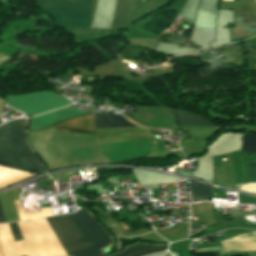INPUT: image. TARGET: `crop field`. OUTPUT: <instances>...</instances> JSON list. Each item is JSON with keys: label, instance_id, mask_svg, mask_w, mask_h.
Instances as JSON below:
<instances>
[{"label": "crop field", "instance_id": "214f88e0", "mask_svg": "<svg viewBox=\"0 0 256 256\" xmlns=\"http://www.w3.org/2000/svg\"><path fill=\"white\" fill-rule=\"evenodd\" d=\"M2 108H3V101L0 99V114H1Z\"/></svg>", "mask_w": 256, "mask_h": 256}, {"label": "crop field", "instance_id": "5a996713", "mask_svg": "<svg viewBox=\"0 0 256 256\" xmlns=\"http://www.w3.org/2000/svg\"><path fill=\"white\" fill-rule=\"evenodd\" d=\"M57 129L65 132L95 135L94 113L57 123Z\"/></svg>", "mask_w": 256, "mask_h": 256}, {"label": "crop field", "instance_id": "ac0d7876", "mask_svg": "<svg viewBox=\"0 0 256 256\" xmlns=\"http://www.w3.org/2000/svg\"><path fill=\"white\" fill-rule=\"evenodd\" d=\"M95 122L96 129L138 128L113 114L95 113ZM96 138L98 146L150 139L141 129L96 130Z\"/></svg>", "mask_w": 256, "mask_h": 256}, {"label": "crop field", "instance_id": "bc2a9ffb", "mask_svg": "<svg viewBox=\"0 0 256 256\" xmlns=\"http://www.w3.org/2000/svg\"><path fill=\"white\" fill-rule=\"evenodd\" d=\"M4 217H3V214H2V210H1V207H0V223H4Z\"/></svg>", "mask_w": 256, "mask_h": 256}, {"label": "crop field", "instance_id": "e52e79f7", "mask_svg": "<svg viewBox=\"0 0 256 256\" xmlns=\"http://www.w3.org/2000/svg\"><path fill=\"white\" fill-rule=\"evenodd\" d=\"M224 254L256 253V232H245L221 241Z\"/></svg>", "mask_w": 256, "mask_h": 256}, {"label": "crop field", "instance_id": "d1516ede", "mask_svg": "<svg viewBox=\"0 0 256 256\" xmlns=\"http://www.w3.org/2000/svg\"><path fill=\"white\" fill-rule=\"evenodd\" d=\"M167 247L168 245L153 246V245H145V244H136V245L127 247L126 251L113 256H127L126 254H129L130 256H143L146 254L167 250Z\"/></svg>", "mask_w": 256, "mask_h": 256}, {"label": "crop field", "instance_id": "733c2abd", "mask_svg": "<svg viewBox=\"0 0 256 256\" xmlns=\"http://www.w3.org/2000/svg\"><path fill=\"white\" fill-rule=\"evenodd\" d=\"M250 181H256V163H247Z\"/></svg>", "mask_w": 256, "mask_h": 256}, {"label": "crop field", "instance_id": "3316defc", "mask_svg": "<svg viewBox=\"0 0 256 256\" xmlns=\"http://www.w3.org/2000/svg\"><path fill=\"white\" fill-rule=\"evenodd\" d=\"M21 191L22 190L18 188H13L11 190L0 193V204L6 222L20 220L14 200H19Z\"/></svg>", "mask_w": 256, "mask_h": 256}, {"label": "crop field", "instance_id": "34b2d1b8", "mask_svg": "<svg viewBox=\"0 0 256 256\" xmlns=\"http://www.w3.org/2000/svg\"><path fill=\"white\" fill-rule=\"evenodd\" d=\"M38 7L89 8L90 0H33ZM41 8L61 27H90L91 9Z\"/></svg>", "mask_w": 256, "mask_h": 256}, {"label": "crop field", "instance_id": "cbeb9de0", "mask_svg": "<svg viewBox=\"0 0 256 256\" xmlns=\"http://www.w3.org/2000/svg\"><path fill=\"white\" fill-rule=\"evenodd\" d=\"M241 151L256 153V136L243 134V144Z\"/></svg>", "mask_w": 256, "mask_h": 256}, {"label": "crop field", "instance_id": "92a150f3", "mask_svg": "<svg viewBox=\"0 0 256 256\" xmlns=\"http://www.w3.org/2000/svg\"><path fill=\"white\" fill-rule=\"evenodd\" d=\"M2 123L1 119H0V124Z\"/></svg>", "mask_w": 256, "mask_h": 256}, {"label": "crop field", "instance_id": "28ad6ade", "mask_svg": "<svg viewBox=\"0 0 256 256\" xmlns=\"http://www.w3.org/2000/svg\"><path fill=\"white\" fill-rule=\"evenodd\" d=\"M177 123L181 125H207V126H216L211 122L207 121L203 116L192 114L186 111L173 110Z\"/></svg>", "mask_w": 256, "mask_h": 256}, {"label": "crop field", "instance_id": "f4fd0767", "mask_svg": "<svg viewBox=\"0 0 256 256\" xmlns=\"http://www.w3.org/2000/svg\"><path fill=\"white\" fill-rule=\"evenodd\" d=\"M6 103L27 115L39 114L70 104L67 100L49 91H40L17 96H6Z\"/></svg>", "mask_w": 256, "mask_h": 256}, {"label": "crop field", "instance_id": "8a807250", "mask_svg": "<svg viewBox=\"0 0 256 256\" xmlns=\"http://www.w3.org/2000/svg\"><path fill=\"white\" fill-rule=\"evenodd\" d=\"M26 119L0 126V165L44 173L26 140Z\"/></svg>", "mask_w": 256, "mask_h": 256}, {"label": "crop field", "instance_id": "5142ce71", "mask_svg": "<svg viewBox=\"0 0 256 256\" xmlns=\"http://www.w3.org/2000/svg\"><path fill=\"white\" fill-rule=\"evenodd\" d=\"M120 225L122 226L123 228V232H124V236L125 237H128V236H136V235H142V234H145L147 232H149V230H137L135 231L134 233L130 234V228L127 224H125L124 222H121Z\"/></svg>", "mask_w": 256, "mask_h": 256}, {"label": "crop field", "instance_id": "4a817a6b", "mask_svg": "<svg viewBox=\"0 0 256 256\" xmlns=\"http://www.w3.org/2000/svg\"><path fill=\"white\" fill-rule=\"evenodd\" d=\"M9 225L11 227V230L13 232L15 240L17 241V240L23 239L17 224L16 223H12V224H9Z\"/></svg>", "mask_w": 256, "mask_h": 256}, {"label": "crop field", "instance_id": "d8731c3e", "mask_svg": "<svg viewBox=\"0 0 256 256\" xmlns=\"http://www.w3.org/2000/svg\"><path fill=\"white\" fill-rule=\"evenodd\" d=\"M88 114L81 110L73 109L70 107L49 112L43 115L36 116L31 119L29 130L52 125L56 121L72 118L79 115Z\"/></svg>", "mask_w": 256, "mask_h": 256}, {"label": "crop field", "instance_id": "d9b57169", "mask_svg": "<svg viewBox=\"0 0 256 256\" xmlns=\"http://www.w3.org/2000/svg\"><path fill=\"white\" fill-rule=\"evenodd\" d=\"M239 190L256 194V182L240 184Z\"/></svg>", "mask_w": 256, "mask_h": 256}, {"label": "crop field", "instance_id": "412701ff", "mask_svg": "<svg viewBox=\"0 0 256 256\" xmlns=\"http://www.w3.org/2000/svg\"><path fill=\"white\" fill-rule=\"evenodd\" d=\"M69 216L94 245L86 249L69 253L68 256H103L101 249L111 244L112 239L94 220V217L85 209H79L77 213L69 214Z\"/></svg>", "mask_w": 256, "mask_h": 256}, {"label": "crop field", "instance_id": "dd49c442", "mask_svg": "<svg viewBox=\"0 0 256 256\" xmlns=\"http://www.w3.org/2000/svg\"><path fill=\"white\" fill-rule=\"evenodd\" d=\"M47 220L66 253L92 245L68 215L53 216L47 218Z\"/></svg>", "mask_w": 256, "mask_h": 256}, {"label": "crop field", "instance_id": "22f410ed", "mask_svg": "<svg viewBox=\"0 0 256 256\" xmlns=\"http://www.w3.org/2000/svg\"><path fill=\"white\" fill-rule=\"evenodd\" d=\"M191 194L192 200L199 201V200H211V186L200 184V183H191Z\"/></svg>", "mask_w": 256, "mask_h": 256}]
</instances>
